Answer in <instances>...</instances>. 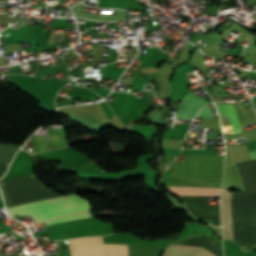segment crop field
<instances>
[{"label": "crop field", "instance_id": "obj_1", "mask_svg": "<svg viewBox=\"0 0 256 256\" xmlns=\"http://www.w3.org/2000/svg\"><path fill=\"white\" fill-rule=\"evenodd\" d=\"M83 201H86V200L82 199L77 195H72L64 198L60 197V198H55V199L36 202V203L9 207L7 209L13 217H16L20 215L48 210L56 207L74 204V203H79ZM89 209L91 208L87 205V202H83V203L74 204L66 207H61V208L43 211L35 214H30L29 216L35 222H39L47 219H53V218H57V217H61L69 214L83 212Z\"/></svg>", "mask_w": 256, "mask_h": 256}, {"label": "crop field", "instance_id": "obj_2", "mask_svg": "<svg viewBox=\"0 0 256 256\" xmlns=\"http://www.w3.org/2000/svg\"><path fill=\"white\" fill-rule=\"evenodd\" d=\"M70 256H128V245L103 244L102 237L67 240Z\"/></svg>", "mask_w": 256, "mask_h": 256}, {"label": "crop field", "instance_id": "obj_3", "mask_svg": "<svg viewBox=\"0 0 256 256\" xmlns=\"http://www.w3.org/2000/svg\"><path fill=\"white\" fill-rule=\"evenodd\" d=\"M221 208L225 239L235 242L234 192H229L223 189Z\"/></svg>", "mask_w": 256, "mask_h": 256}, {"label": "crop field", "instance_id": "obj_4", "mask_svg": "<svg viewBox=\"0 0 256 256\" xmlns=\"http://www.w3.org/2000/svg\"><path fill=\"white\" fill-rule=\"evenodd\" d=\"M221 119L224 135L242 132L233 105H215Z\"/></svg>", "mask_w": 256, "mask_h": 256}, {"label": "crop field", "instance_id": "obj_5", "mask_svg": "<svg viewBox=\"0 0 256 256\" xmlns=\"http://www.w3.org/2000/svg\"><path fill=\"white\" fill-rule=\"evenodd\" d=\"M162 256H213L203 248L169 244Z\"/></svg>", "mask_w": 256, "mask_h": 256}, {"label": "crop field", "instance_id": "obj_6", "mask_svg": "<svg viewBox=\"0 0 256 256\" xmlns=\"http://www.w3.org/2000/svg\"><path fill=\"white\" fill-rule=\"evenodd\" d=\"M180 197H214L219 196L220 188L168 187Z\"/></svg>", "mask_w": 256, "mask_h": 256}, {"label": "crop field", "instance_id": "obj_7", "mask_svg": "<svg viewBox=\"0 0 256 256\" xmlns=\"http://www.w3.org/2000/svg\"><path fill=\"white\" fill-rule=\"evenodd\" d=\"M88 217H91L90 214H89V211L79 213V214L70 215V216H65V217H61V218H57V219H53V220H50V221H45L44 224H45V226H48V225H52V224H56V223H60V222L68 221V220L88 218Z\"/></svg>", "mask_w": 256, "mask_h": 256}, {"label": "crop field", "instance_id": "obj_8", "mask_svg": "<svg viewBox=\"0 0 256 256\" xmlns=\"http://www.w3.org/2000/svg\"><path fill=\"white\" fill-rule=\"evenodd\" d=\"M250 156H251V159H256V150H253V151H250Z\"/></svg>", "mask_w": 256, "mask_h": 256}]
</instances>
